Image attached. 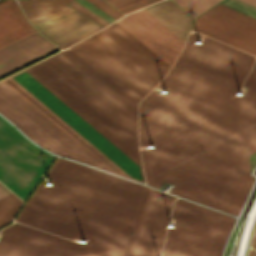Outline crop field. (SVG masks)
Here are the masks:
<instances>
[{
    "label": "crop field",
    "instance_id": "1",
    "mask_svg": "<svg viewBox=\"0 0 256 256\" xmlns=\"http://www.w3.org/2000/svg\"><path fill=\"white\" fill-rule=\"evenodd\" d=\"M199 37L190 34L158 84L169 93L152 90L139 103L140 146L155 145L142 150L147 180L237 216L254 181L256 62L238 96L254 56L208 38L197 45Z\"/></svg>",
    "mask_w": 256,
    "mask_h": 256
},
{
    "label": "crop field",
    "instance_id": "2",
    "mask_svg": "<svg viewBox=\"0 0 256 256\" xmlns=\"http://www.w3.org/2000/svg\"><path fill=\"white\" fill-rule=\"evenodd\" d=\"M15 220L3 230L0 256H126L149 189L57 157Z\"/></svg>",
    "mask_w": 256,
    "mask_h": 256
},
{
    "label": "crop field",
    "instance_id": "3",
    "mask_svg": "<svg viewBox=\"0 0 256 256\" xmlns=\"http://www.w3.org/2000/svg\"><path fill=\"white\" fill-rule=\"evenodd\" d=\"M24 70L141 166L137 104L72 50Z\"/></svg>",
    "mask_w": 256,
    "mask_h": 256
},
{
    "label": "crop field",
    "instance_id": "4",
    "mask_svg": "<svg viewBox=\"0 0 256 256\" xmlns=\"http://www.w3.org/2000/svg\"><path fill=\"white\" fill-rule=\"evenodd\" d=\"M173 196L150 189L127 256H159ZM162 256H220L235 219L183 199H175Z\"/></svg>",
    "mask_w": 256,
    "mask_h": 256
},
{
    "label": "crop field",
    "instance_id": "5",
    "mask_svg": "<svg viewBox=\"0 0 256 256\" xmlns=\"http://www.w3.org/2000/svg\"><path fill=\"white\" fill-rule=\"evenodd\" d=\"M118 25H110V28L98 32V35H93V38H88L72 50L136 102L169 65H165L163 60L165 64ZM169 68L148 91L165 76Z\"/></svg>",
    "mask_w": 256,
    "mask_h": 256
},
{
    "label": "crop field",
    "instance_id": "6",
    "mask_svg": "<svg viewBox=\"0 0 256 256\" xmlns=\"http://www.w3.org/2000/svg\"><path fill=\"white\" fill-rule=\"evenodd\" d=\"M14 79L23 85L27 90H29L33 95H35L58 116H60L65 122H67L71 127L79 132L84 138H86L90 143H92L96 148L104 153L127 174L140 180L142 177V181L135 179L136 181H144L143 176L141 175L140 177L139 172H137L133 167H131L127 162H125L121 157H119L115 152H113L109 147H107L103 142H101L97 137H95L61 107H59L31 82H29L25 77L20 74L14 77ZM15 80L9 77L2 80V82L5 83L9 88H11L15 93H17L21 98H23L27 103H29L33 108H35L39 113H41L45 118H47L58 129H60L64 134H66L70 139H72L76 144H78L82 149H84L110 172L132 179L99 150H97L93 145H91L87 140H85L81 135H79L75 130H73L69 125H67L63 120H61L57 115H55L51 110H49L45 105H43L39 100H37L33 95H31L27 90H25L21 85H19Z\"/></svg>",
    "mask_w": 256,
    "mask_h": 256
},
{
    "label": "crop field",
    "instance_id": "7",
    "mask_svg": "<svg viewBox=\"0 0 256 256\" xmlns=\"http://www.w3.org/2000/svg\"><path fill=\"white\" fill-rule=\"evenodd\" d=\"M0 113L40 146L67 158L106 170L1 81Z\"/></svg>",
    "mask_w": 256,
    "mask_h": 256
},
{
    "label": "crop field",
    "instance_id": "8",
    "mask_svg": "<svg viewBox=\"0 0 256 256\" xmlns=\"http://www.w3.org/2000/svg\"><path fill=\"white\" fill-rule=\"evenodd\" d=\"M52 157L0 117V181L18 196L24 199Z\"/></svg>",
    "mask_w": 256,
    "mask_h": 256
},
{
    "label": "crop field",
    "instance_id": "9",
    "mask_svg": "<svg viewBox=\"0 0 256 256\" xmlns=\"http://www.w3.org/2000/svg\"><path fill=\"white\" fill-rule=\"evenodd\" d=\"M192 29L256 55L254 18L217 4L199 16Z\"/></svg>",
    "mask_w": 256,
    "mask_h": 256
},
{
    "label": "crop field",
    "instance_id": "10",
    "mask_svg": "<svg viewBox=\"0 0 256 256\" xmlns=\"http://www.w3.org/2000/svg\"><path fill=\"white\" fill-rule=\"evenodd\" d=\"M116 22L170 66L184 44L144 8Z\"/></svg>",
    "mask_w": 256,
    "mask_h": 256
},
{
    "label": "crop field",
    "instance_id": "11",
    "mask_svg": "<svg viewBox=\"0 0 256 256\" xmlns=\"http://www.w3.org/2000/svg\"><path fill=\"white\" fill-rule=\"evenodd\" d=\"M49 45L54 46L49 41H47L44 37H42L37 31L18 40V41H15V42L0 49V69L6 67L8 65H11V64L37 52ZM53 49H55V48L49 46V47L11 65L9 67H6V68L0 70V76L37 58V57H39V56H41V55H43V54H45V53H47V52H49V51H51V50H53ZM56 50H58V48L29 62V63H32L44 56L56 51ZM29 63H27V64H29ZM27 64H25V65H27ZM25 65H23V66H25ZM23 66H21V67H23ZM21 67H19V68H21ZM19 68H17V69H19ZM17 69H15V70H17ZM15 70H13V71H15ZM13 71H11V72H13ZM11 72H9V73H11ZM9 73H7V74H9ZM7 74H5V75H7ZM5 75H3V76H5ZM3 76H1V77H3Z\"/></svg>",
    "mask_w": 256,
    "mask_h": 256
},
{
    "label": "crop field",
    "instance_id": "12",
    "mask_svg": "<svg viewBox=\"0 0 256 256\" xmlns=\"http://www.w3.org/2000/svg\"><path fill=\"white\" fill-rule=\"evenodd\" d=\"M98 24L73 10L54 19L35 24V28L57 46ZM84 34V33H83Z\"/></svg>",
    "mask_w": 256,
    "mask_h": 256
},
{
    "label": "crop field",
    "instance_id": "13",
    "mask_svg": "<svg viewBox=\"0 0 256 256\" xmlns=\"http://www.w3.org/2000/svg\"><path fill=\"white\" fill-rule=\"evenodd\" d=\"M33 31L15 0L0 2V48Z\"/></svg>",
    "mask_w": 256,
    "mask_h": 256
},
{
    "label": "crop field",
    "instance_id": "14",
    "mask_svg": "<svg viewBox=\"0 0 256 256\" xmlns=\"http://www.w3.org/2000/svg\"><path fill=\"white\" fill-rule=\"evenodd\" d=\"M145 9L185 42L193 22L187 13L170 0H163Z\"/></svg>",
    "mask_w": 256,
    "mask_h": 256
},
{
    "label": "crop field",
    "instance_id": "15",
    "mask_svg": "<svg viewBox=\"0 0 256 256\" xmlns=\"http://www.w3.org/2000/svg\"><path fill=\"white\" fill-rule=\"evenodd\" d=\"M22 72H24V70L20 73ZM22 75H24L28 80H30L34 85H36L40 90H42L46 95H48L52 100H54L58 105H60L64 110H66L70 115H72L76 120H78L82 125H84L88 130H90L94 135H96L100 140H102L106 145H108L112 150H114L118 155H120L124 160H126L130 165L139 171L137 164H135L131 159H129L125 154H123L119 149H117L113 144H111L107 139H105L101 134H99L95 129H93L89 124H87L83 119H81L77 114H75L71 109H69L65 104L57 99L53 94H51L29 74L24 72ZM140 171L143 175L142 168H140Z\"/></svg>",
    "mask_w": 256,
    "mask_h": 256
},
{
    "label": "crop field",
    "instance_id": "16",
    "mask_svg": "<svg viewBox=\"0 0 256 256\" xmlns=\"http://www.w3.org/2000/svg\"><path fill=\"white\" fill-rule=\"evenodd\" d=\"M193 17L198 16L220 0H173Z\"/></svg>",
    "mask_w": 256,
    "mask_h": 256
},
{
    "label": "crop field",
    "instance_id": "17",
    "mask_svg": "<svg viewBox=\"0 0 256 256\" xmlns=\"http://www.w3.org/2000/svg\"><path fill=\"white\" fill-rule=\"evenodd\" d=\"M21 201L13 194L0 200V226L9 222Z\"/></svg>",
    "mask_w": 256,
    "mask_h": 256
},
{
    "label": "crop field",
    "instance_id": "18",
    "mask_svg": "<svg viewBox=\"0 0 256 256\" xmlns=\"http://www.w3.org/2000/svg\"><path fill=\"white\" fill-rule=\"evenodd\" d=\"M219 4L256 18V7L238 0H223Z\"/></svg>",
    "mask_w": 256,
    "mask_h": 256
},
{
    "label": "crop field",
    "instance_id": "19",
    "mask_svg": "<svg viewBox=\"0 0 256 256\" xmlns=\"http://www.w3.org/2000/svg\"><path fill=\"white\" fill-rule=\"evenodd\" d=\"M69 6L75 8L80 13H82V14L90 17L94 21L100 23L103 27L106 26L107 24H109L107 21H105L104 19H102L101 17H99L98 15H96L95 13H93L92 11L88 10L87 8L83 7L82 5H80L79 3L75 2V1H73L71 4H69Z\"/></svg>",
    "mask_w": 256,
    "mask_h": 256
},
{
    "label": "crop field",
    "instance_id": "20",
    "mask_svg": "<svg viewBox=\"0 0 256 256\" xmlns=\"http://www.w3.org/2000/svg\"><path fill=\"white\" fill-rule=\"evenodd\" d=\"M88 1L91 2L92 4L96 5L97 7H99L103 11H105L106 13L110 14L111 16H113L116 19L123 16V14H121L120 12H118L117 10H115L114 8H112L111 6H109L108 4L103 2L102 0H88Z\"/></svg>",
    "mask_w": 256,
    "mask_h": 256
},
{
    "label": "crop field",
    "instance_id": "21",
    "mask_svg": "<svg viewBox=\"0 0 256 256\" xmlns=\"http://www.w3.org/2000/svg\"><path fill=\"white\" fill-rule=\"evenodd\" d=\"M73 10L71 7L67 6L57 12H54L52 14H49V15H45V16H41V17H37V18H33V19H29V22L34 24V23H38V22H42V21H45V20H48V19H51V18H54L56 16H59V15H62L66 12H69Z\"/></svg>",
    "mask_w": 256,
    "mask_h": 256
},
{
    "label": "crop field",
    "instance_id": "22",
    "mask_svg": "<svg viewBox=\"0 0 256 256\" xmlns=\"http://www.w3.org/2000/svg\"><path fill=\"white\" fill-rule=\"evenodd\" d=\"M100 28H102V27H100L98 25V26L92 28L91 30L85 32L84 34H82V35H80V36H78V37H76V38H74V39H72V40H70V41L60 45L59 47L61 49L65 48V47H68V46H70V45H72V44H74V43H76V42L86 38L87 36L91 35L92 33H94L95 31L99 30Z\"/></svg>",
    "mask_w": 256,
    "mask_h": 256
},
{
    "label": "crop field",
    "instance_id": "23",
    "mask_svg": "<svg viewBox=\"0 0 256 256\" xmlns=\"http://www.w3.org/2000/svg\"><path fill=\"white\" fill-rule=\"evenodd\" d=\"M108 3L113 5L114 7L118 8L135 0H106Z\"/></svg>",
    "mask_w": 256,
    "mask_h": 256
},
{
    "label": "crop field",
    "instance_id": "24",
    "mask_svg": "<svg viewBox=\"0 0 256 256\" xmlns=\"http://www.w3.org/2000/svg\"><path fill=\"white\" fill-rule=\"evenodd\" d=\"M11 194L5 187L0 184V199Z\"/></svg>",
    "mask_w": 256,
    "mask_h": 256
},
{
    "label": "crop field",
    "instance_id": "25",
    "mask_svg": "<svg viewBox=\"0 0 256 256\" xmlns=\"http://www.w3.org/2000/svg\"><path fill=\"white\" fill-rule=\"evenodd\" d=\"M241 1L251 4L253 6H256V0H241Z\"/></svg>",
    "mask_w": 256,
    "mask_h": 256
},
{
    "label": "crop field",
    "instance_id": "26",
    "mask_svg": "<svg viewBox=\"0 0 256 256\" xmlns=\"http://www.w3.org/2000/svg\"><path fill=\"white\" fill-rule=\"evenodd\" d=\"M251 247H253V248H255V249H256V230H255V234H254V238H253V241H252Z\"/></svg>",
    "mask_w": 256,
    "mask_h": 256
},
{
    "label": "crop field",
    "instance_id": "27",
    "mask_svg": "<svg viewBox=\"0 0 256 256\" xmlns=\"http://www.w3.org/2000/svg\"><path fill=\"white\" fill-rule=\"evenodd\" d=\"M248 256H256V251L253 249H250Z\"/></svg>",
    "mask_w": 256,
    "mask_h": 256
}]
</instances>
